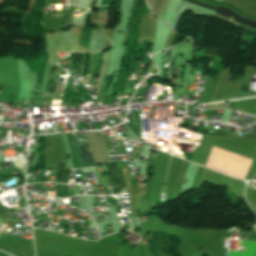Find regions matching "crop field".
<instances>
[{
    "mask_svg": "<svg viewBox=\"0 0 256 256\" xmlns=\"http://www.w3.org/2000/svg\"><path fill=\"white\" fill-rule=\"evenodd\" d=\"M252 136L256 138V132H255V133H253V134H252Z\"/></svg>",
    "mask_w": 256,
    "mask_h": 256,
    "instance_id": "obj_7",
    "label": "crop field"
},
{
    "mask_svg": "<svg viewBox=\"0 0 256 256\" xmlns=\"http://www.w3.org/2000/svg\"><path fill=\"white\" fill-rule=\"evenodd\" d=\"M80 148H81V151H82V157H83L84 165L96 164L93 157H92L89 145L87 144L85 146H81Z\"/></svg>",
    "mask_w": 256,
    "mask_h": 256,
    "instance_id": "obj_2",
    "label": "crop field"
},
{
    "mask_svg": "<svg viewBox=\"0 0 256 256\" xmlns=\"http://www.w3.org/2000/svg\"><path fill=\"white\" fill-rule=\"evenodd\" d=\"M0 250L6 251V252H8V253H10V254H12V255H14V256H25V255H22V254H20V253H17V252H15V251H12V250L7 249V248L2 247V246H0Z\"/></svg>",
    "mask_w": 256,
    "mask_h": 256,
    "instance_id": "obj_5",
    "label": "crop field"
},
{
    "mask_svg": "<svg viewBox=\"0 0 256 256\" xmlns=\"http://www.w3.org/2000/svg\"><path fill=\"white\" fill-rule=\"evenodd\" d=\"M70 170H58L56 182L68 183Z\"/></svg>",
    "mask_w": 256,
    "mask_h": 256,
    "instance_id": "obj_3",
    "label": "crop field"
},
{
    "mask_svg": "<svg viewBox=\"0 0 256 256\" xmlns=\"http://www.w3.org/2000/svg\"><path fill=\"white\" fill-rule=\"evenodd\" d=\"M110 175L111 183L113 186L114 194H117L119 190L125 186L122 171L116 170V167L107 166Z\"/></svg>",
    "mask_w": 256,
    "mask_h": 256,
    "instance_id": "obj_1",
    "label": "crop field"
},
{
    "mask_svg": "<svg viewBox=\"0 0 256 256\" xmlns=\"http://www.w3.org/2000/svg\"><path fill=\"white\" fill-rule=\"evenodd\" d=\"M95 1H96V0H92L91 7H93V6H94ZM91 7H90V8H91Z\"/></svg>",
    "mask_w": 256,
    "mask_h": 256,
    "instance_id": "obj_6",
    "label": "crop field"
},
{
    "mask_svg": "<svg viewBox=\"0 0 256 256\" xmlns=\"http://www.w3.org/2000/svg\"><path fill=\"white\" fill-rule=\"evenodd\" d=\"M68 185H58L55 187L56 197H66L67 196Z\"/></svg>",
    "mask_w": 256,
    "mask_h": 256,
    "instance_id": "obj_4",
    "label": "crop field"
},
{
    "mask_svg": "<svg viewBox=\"0 0 256 256\" xmlns=\"http://www.w3.org/2000/svg\"><path fill=\"white\" fill-rule=\"evenodd\" d=\"M142 154V153H141Z\"/></svg>",
    "mask_w": 256,
    "mask_h": 256,
    "instance_id": "obj_8",
    "label": "crop field"
}]
</instances>
